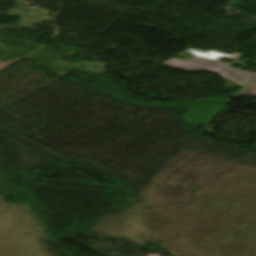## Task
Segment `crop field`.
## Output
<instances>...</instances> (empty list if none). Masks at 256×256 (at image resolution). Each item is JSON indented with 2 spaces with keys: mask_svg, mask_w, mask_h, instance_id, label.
Wrapping results in <instances>:
<instances>
[{
  "mask_svg": "<svg viewBox=\"0 0 256 256\" xmlns=\"http://www.w3.org/2000/svg\"><path fill=\"white\" fill-rule=\"evenodd\" d=\"M238 94L256 95V76L255 78L245 86Z\"/></svg>",
  "mask_w": 256,
  "mask_h": 256,
  "instance_id": "2",
  "label": "crop field"
},
{
  "mask_svg": "<svg viewBox=\"0 0 256 256\" xmlns=\"http://www.w3.org/2000/svg\"><path fill=\"white\" fill-rule=\"evenodd\" d=\"M188 52L194 54V59L188 61L172 59L166 62L163 65L187 70V71H201L209 70L214 73H217L225 78L230 79L233 83L245 86L249 83L255 73H249L237 69L230 68L226 65H223V62L217 61L220 57H229L232 59H240L243 55L234 53L233 55H227L223 53H218L214 51L202 52L197 50L189 49Z\"/></svg>",
  "mask_w": 256,
  "mask_h": 256,
  "instance_id": "1",
  "label": "crop field"
}]
</instances>
